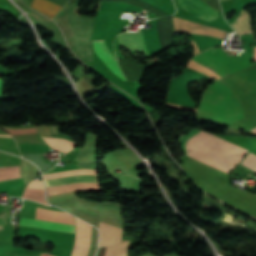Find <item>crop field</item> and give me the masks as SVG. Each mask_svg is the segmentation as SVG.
I'll list each match as a JSON object with an SVG mask.
<instances>
[{"label":"crop field","instance_id":"crop-field-1","mask_svg":"<svg viewBox=\"0 0 256 256\" xmlns=\"http://www.w3.org/2000/svg\"><path fill=\"white\" fill-rule=\"evenodd\" d=\"M186 154L228 172L247 150L200 131L185 141Z\"/></svg>","mask_w":256,"mask_h":256},{"label":"crop field","instance_id":"crop-field-2","mask_svg":"<svg viewBox=\"0 0 256 256\" xmlns=\"http://www.w3.org/2000/svg\"><path fill=\"white\" fill-rule=\"evenodd\" d=\"M212 49H209L200 54L207 57L208 59L218 64L219 66H221L222 68H224L232 74L251 66L253 56V54L251 53L244 52L240 57H230L227 56L221 50V48H217L214 50ZM200 54L196 55L192 60L211 69L212 71H214L222 77L231 75L229 72L225 71L224 69H222L221 67L214 64L213 62H211L210 60H208Z\"/></svg>","mask_w":256,"mask_h":256},{"label":"crop field","instance_id":"crop-field-3","mask_svg":"<svg viewBox=\"0 0 256 256\" xmlns=\"http://www.w3.org/2000/svg\"><path fill=\"white\" fill-rule=\"evenodd\" d=\"M35 219L74 225V218L68 213L49 211V210H44L39 208H37ZM38 220L20 218L19 225L33 226V227L74 233V226L44 222V221H38Z\"/></svg>","mask_w":256,"mask_h":256},{"label":"crop field","instance_id":"crop-field-4","mask_svg":"<svg viewBox=\"0 0 256 256\" xmlns=\"http://www.w3.org/2000/svg\"><path fill=\"white\" fill-rule=\"evenodd\" d=\"M97 173H98V170H72L67 172L46 174V175H43V177L44 179H47V178H54V177L69 176L74 174L97 175ZM93 175H79V176H72V177H66V178H60V179L47 180L44 182L46 184V187L65 184V183H71V182H81V181L98 182L97 176H93Z\"/></svg>","mask_w":256,"mask_h":256},{"label":"crop field","instance_id":"crop-field-5","mask_svg":"<svg viewBox=\"0 0 256 256\" xmlns=\"http://www.w3.org/2000/svg\"><path fill=\"white\" fill-rule=\"evenodd\" d=\"M172 18H173L175 32H197L202 34H210L223 39L228 34L227 32L221 29L196 24L180 18L173 17V16Z\"/></svg>","mask_w":256,"mask_h":256},{"label":"crop field","instance_id":"crop-field-6","mask_svg":"<svg viewBox=\"0 0 256 256\" xmlns=\"http://www.w3.org/2000/svg\"><path fill=\"white\" fill-rule=\"evenodd\" d=\"M178 3L186 11L207 21H212L219 16L217 10L209 7L201 0H178Z\"/></svg>","mask_w":256,"mask_h":256},{"label":"crop field","instance_id":"crop-field-7","mask_svg":"<svg viewBox=\"0 0 256 256\" xmlns=\"http://www.w3.org/2000/svg\"><path fill=\"white\" fill-rule=\"evenodd\" d=\"M93 51L113 73L118 75L124 81L126 80L118 66L116 57L109 51L104 40H93Z\"/></svg>","mask_w":256,"mask_h":256},{"label":"crop field","instance_id":"crop-field-8","mask_svg":"<svg viewBox=\"0 0 256 256\" xmlns=\"http://www.w3.org/2000/svg\"><path fill=\"white\" fill-rule=\"evenodd\" d=\"M100 246L115 245L120 243L124 236V230L112 225L99 222Z\"/></svg>","mask_w":256,"mask_h":256},{"label":"crop field","instance_id":"crop-field-9","mask_svg":"<svg viewBox=\"0 0 256 256\" xmlns=\"http://www.w3.org/2000/svg\"><path fill=\"white\" fill-rule=\"evenodd\" d=\"M76 221V242L72 256H77L82 240L84 222L75 218ZM91 226L85 224L84 235L82 240L81 249L78 256H86L89 240H90Z\"/></svg>","mask_w":256,"mask_h":256},{"label":"crop field","instance_id":"crop-field-10","mask_svg":"<svg viewBox=\"0 0 256 256\" xmlns=\"http://www.w3.org/2000/svg\"><path fill=\"white\" fill-rule=\"evenodd\" d=\"M117 38L120 44L130 49L142 51L147 54L140 30L135 33H121L117 36Z\"/></svg>","mask_w":256,"mask_h":256},{"label":"crop field","instance_id":"crop-field-11","mask_svg":"<svg viewBox=\"0 0 256 256\" xmlns=\"http://www.w3.org/2000/svg\"><path fill=\"white\" fill-rule=\"evenodd\" d=\"M36 10H39L49 17H53L61 8V6L49 1V0H33L30 6Z\"/></svg>","mask_w":256,"mask_h":256},{"label":"crop field","instance_id":"crop-field-12","mask_svg":"<svg viewBox=\"0 0 256 256\" xmlns=\"http://www.w3.org/2000/svg\"><path fill=\"white\" fill-rule=\"evenodd\" d=\"M231 25L233 26V28L236 30L237 33L252 30L250 25L249 13L242 10L239 18L235 22H233ZM251 32L253 31L245 32V33H251ZM245 33H240V35Z\"/></svg>","mask_w":256,"mask_h":256},{"label":"crop field","instance_id":"crop-field-13","mask_svg":"<svg viewBox=\"0 0 256 256\" xmlns=\"http://www.w3.org/2000/svg\"><path fill=\"white\" fill-rule=\"evenodd\" d=\"M128 242H122L116 246H111L107 256H126ZM109 247H100L96 256H105Z\"/></svg>","mask_w":256,"mask_h":256},{"label":"crop field","instance_id":"crop-field-14","mask_svg":"<svg viewBox=\"0 0 256 256\" xmlns=\"http://www.w3.org/2000/svg\"><path fill=\"white\" fill-rule=\"evenodd\" d=\"M43 139L50 145V147H53L61 152L67 153L71 150L73 147V143L67 140L63 139H52V138H45ZM63 153V154H64Z\"/></svg>","mask_w":256,"mask_h":256},{"label":"crop field","instance_id":"crop-field-15","mask_svg":"<svg viewBox=\"0 0 256 256\" xmlns=\"http://www.w3.org/2000/svg\"><path fill=\"white\" fill-rule=\"evenodd\" d=\"M19 177V166L0 168V181Z\"/></svg>","mask_w":256,"mask_h":256},{"label":"crop field","instance_id":"crop-field-16","mask_svg":"<svg viewBox=\"0 0 256 256\" xmlns=\"http://www.w3.org/2000/svg\"><path fill=\"white\" fill-rule=\"evenodd\" d=\"M22 197H25V198H36V199H45V193H44V190L26 189ZM36 199H33V200H36ZM36 201L49 205L46 202V200H36Z\"/></svg>","mask_w":256,"mask_h":256},{"label":"crop field","instance_id":"crop-field-17","mask_svg":"<svg viewBox=\"0 0 256 256\" xmlns=\"http://www.w3.org/2000/svg\"><path fill=\"white\" fill-rule=\"evenodd\" d=\"M27 188H39L44 189L42 181H32Z\"/></svg>","mask_w":256,"mask_h":256},{"label":"crop field","instance_id":"crop-field-18","mask_svg":"<svg viewBox=\"0 0 256 256\" xmlns=\"http://www.w3.org/2000/svg\"><path fill=\"white\" fill-rule=\"evenodd\" d=\"M14 256H41V254H31V255H18V254H15Z\"/></svg>","mask_w":256,"mask_h":256},{"label":"crop field","instance_id":"crop-field-19","mask_svg":"<svg viewBox=\"0 0 256 256\" xmlns=\"http://www.w3.org/2000/svg\"><path fill=\"white\" fill-rule=\"evenodd\" d=\"M3 87H4V84H3V82H2L1 79H0V94H2V89H3Z\"/></svg>","mask_w":256,"mask_h":256},{"label":"crop field","instance_id":"crop-field-20","mask_svg":"<svg viewBox=\"0 0 256 256\" xmlns=\"http://www.w3.org/2000/svg\"><path fill=\"white\" fill-rule=\"evenodd\" d=\"M16 2H17V4L19 5V6H21L25 11L27 10V8L26 7H24L20 2H19V0H15Z\"/></svg>","mask_w":256,"mask_h":256},{"label":"crop field","instance_id":"crop-field-21","mask_svg":"<svg viewBox=\"0 0 256 256\" xmlns=\"http://www.w3.org/2000/svg\"><path fill=\"white\" fill-rule=\"evenodd\" d=\"M25 4H27L28 6L31 4L32 0H23Z\"/></svg>","mask_w":256,"mask_h":256},{"label":"crop field","instance_id":"crop-field-22","mask_svg":"<svg viewBox=\"0 0 256 256\" xmlns=\"http://www.w3.org/2000/svg\"><path fill=\"white\" fill-rule=\"evenodd\" d=\"M253 60L256 61V47H254V57H253Z\"/></svg>","mask_w":256,"mask_h":256},{"label":"crop field","instance_id":"crop-field-23","mask_svg":"<svg viewBox=\"0 0 256 256\" xmlns=\"http://www.w3.org/2000/svg\"><path fill=\"white\" fill-rule=\"evenodd\" d=\"M0 136H4V137H10V136H5V135H0Z\"/></svg>","mask_w":256,"mask_h":256},{"label":"crop field","instance_id":"crop-field-24","mask_svg":"<svg viewBox=\"0 0 256 256\" xmlns=\"http://www.w3.org/2000/svg\"><path fill=\"white\" fill-rule=\"evenodd\" d=\"M253 132H256V128H255V129H253Z\"/></svg>","mask_w":256,"mask_h":256},{"label":"crop field","instance_id":"crop-field-25","mask_svg":"<svg viewBox=\"0 0 256 256\" xmlns=\"http://www.w3.org/2000/svg\"><path fill=\"white\" fill-rule=\"evenodd\" d=\"M143 13H149V12H146V11L143 10Z\"/></svg>","mask_w":256,"mask_h":256},{"label":"crop field","instance_id":"crop-field-26","mask_svg":"<svg viewBox=\"0 0 256 256\" xmlns=\"http://www.w3.org/2000/svg\"><path fill=\"white\" fill-rule=\"evenodd\" d=\"M220 1H223V0H220Z\"/></svg>","mask_w":256,"mask_h":256}]
</instances>
